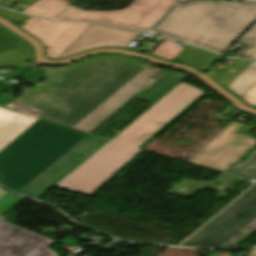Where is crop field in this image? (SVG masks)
<instances>
[{"instance_id": "obj_1", "label": "crop field", "mask_w": 256, "mask_h": 256, "mask_svg": "<svg viewBox=\"0 0 256 256\" xmlns=\"http://www.w3.org/2000/svg\"><path fill=\"white\" fill-rule=\"evenodd\" d=\"M145 68L106 59L63 71L58 85L23 94L17 101L45 111L40 118L75 128Z\"/></svg>"}, {"instance_id": "obj_2", "label": "crop field", "mask_w": 256, "mask_h": 256, "mask_svg": "<svg viewBox=\"0 0 256 256\" xmlns=\"http://www.w3.org/2000/svg\"><path fill=\"white\" fill-rule=\"evenodd\" d=\"M206 94L185 83L180 84L57 186L90 195Z\"/></svg>"}, {"instance_id": "obj_3", "label": "crop field", "mask_w": 256, "mask_h": 256, "mask_svg": "<svg viewBox=\"0 0 256 256\" xmlns=\"http://www.w3.org/2000/svg\"><path fill=\"white\" fill-rule=\"evenodd\" d=\"M255 19V3L203 0L177 6L154 31L222 53Z\"/></svg>"}, {"instance_id": "obj_4", "label": "crop field", "mask_w": 256, "mask_h": 256, "mask_svg": "<svg viewBox=\"0 0 256 256\" xmlns=\"http://www.w3.org/2000/svg\"><path fill=\"white\" fill-rule=\"evenodd\" d=\"M86 135L39 119L0 151V183L18 192Z\"/></svg>"}, {"instance_id": "obj_5", "label": "crop field", "mask_w": 256, "mask_h": 256, "mask_svg": "<svg viewBox=\"0 0 256 256\" xmlns=\"http://www.w3.org/2000/svg\"><path fill=\"white\" fill-rule=\"evenodd\" d=\"M225 210V209H224ZM219 215V214H218ZM256 218V185L194 235L187 246L218 247L238 234Z\"/></svg>"}, {"instance_id": "obj_6", "label": "crop field", "mask_w": 256, "mask_h": 256, "mask_svg": "<svg viewBox=\"0 0 256 256\" xmlns=\"http://www.w3.org/2000/svg\"><path fill=\"white\" fill-rule=\"evenodd\" d=\"M176 0H134L128 8L118 11L95 12L70 8L58 19L99 21L128 28L151 29Z\"/></svg>"}, {"instance_id": "obj_7", "label": "crop field", "mask_w": 256, "mask_h": 256, "mask_svg": "<svg viewBox=\"0 0 256 256\" xmlns=\"http://www.w3.org/2000/svg\"><path fill=\"white\" fill-rule=\"evenodd\" d=\"M243 125L244 123L234 121L187 161L220 171L229 167L256 144V139L252 136L234 134Z\"/></svg>"}, {"instance_id": "obj_8", "label": "crop field", "mask_w": 256, "mask_h": 256, "mask_svg": "<svg viewBox=\"0 0 256 256\" xmlns=\"http://www.w3.org/2000/svg\"><path fill=\"white\" fill-rule=\"evenodd\" d=\"M21 28L31 32L47 48V58L55 60L91 24L51 21L33 17Z\"/></svg>"}, {"instance_id": "obj_9", "label": "crop field", "mask_w": 256, "mask_h": 256, "mask_svg": "<svg viewBox=\"0 0 256 256\" xmlns=\"http://www.w3.org/2000/svg\"><path fill=\"white\" fill-rule=\"evenodd\" d=\"M56 242L0 219V256H59L50 249Z\"/></svg>"}, {"instance_id": "obj_10", "label": "crop field", "mask_w": 256, "mask_h": 256, "mask_svg": "<svg viewBox=\"0 0 256 256\" xmlns=\"http://www.w3.org/2000/svg\"><path fill=\"white\" fill-rule=\"evenodd\" d=\"M142 32L127 31L102 24H92L65 52L57 59L75 53L103 46L124 47L135 40Z\"/></svg>"}, {"instance_id": "obj_11", "label": "crop field", "mask_w": 256, "mask_h": 256, "mask_svg": "<svg viewBox=\"0 0 256 256\" xmlns=\"http://www.w3.org/2000/svg\"><path fill=\"white\" fill-rule=\"evenodd\" d=\"M151 67L142 72L138 77H136L132 82H130L126 87L76 127V129L90 133L114 112L121 108L148 83H150L153 80V77L162 71Z\"/></svg>"}, {"instance_id": "obj_12", "label": "crop field", "mask_w": 256, "mask_h": 256, "mask_svg": "<svg viewBox=\"0 0 256 256\" xmlns=\"http://www.w3.org/2000/svg\"><path fill=\"white\" fill-rule=\"evenodd\" d=\"M82 162L67 152L19 193L37 198Z\"/></svg>"}, {"instance_id": "obj_13", "label": "crop field", "mask_w": 256, "mask_h": 256, "mask_svg": "<svg viewBox=\"0 0 256 256\" xmlns=\"http://www.w3.org/2000/svg\"><path fill=\"white\" fill-rule=\"evenodd\" d=\"M36 120H38V118L0 108V150Z\"/></svg>"}, {"instance_id": "obj_14", "label": "crop field", "mask_w": 256, "mask_h": 256, "mask_svg": "<svg viewBox=\"0 0 256 256\" xmlns=\"http://www.w3.org/2000/svg\"><path fill=\"white\" fill-rule=\"evenodd\" d=\"M106 58H117V59H121V60H124V61H128V62L137 64V65H140V66L145 67V68H147V67L150 66L149 64H147V63H145V62H140V61H137V60H135V59H132V58H129V57H126V56H123V55H104V56H99V57H93V58H89V59H86V60H83V61L74 63V64H72V65L63 67V68L44 67L43 69H44V72H45V75H46V79H47L48 84H44V85H40V86L31 87V88L28 89L27 91H29V92H39V91H42V90H45V89L54 87V86L57 85V82L55 81L54 78H55L58 74H60L63 70L75 68V67H78V66H81V65H84V64L93 62V61L102 60V59H106Z\"/></svg>"}, {"instance_id": "obj_15", "label": "crop field", "mask_w": 256, "mask_h": 256, "mask_svg": "<svg viewBox=\"0 0 256 256\" xmlns=\"http://www.w3.org/2000/svg\"><path fill=\"white\" fill-rule=\"evenodd\" d=\"M184 78L185 77L165 73L148 88L137 95V97L153 104Z\"/></svg>"}, {"instance_id": "obj_16", "label": "crop field", "mask_w": 256, "mask_h": 256, "mask_svg": "<svg viewBox=\"0 0 256 256\" xmlns=\"http://www.w3.org/2000/svg\"><path fill=\"white\" fill-rule=\"evenodd\" d=\"M218 57L219 55L214 53L188 46L177 56L175 60L191 64L203 71L209 68Z\"/></svg>"}, {"instance_id": "obj_17", "label": "crop field", "mask_w": 256, "mask_h": 256, "mask_svg": "<svg viewBox=\"0 0 256 256\" xmlns=\"http://www.w3.org/2000/svg\"><path fill=\"white\" fill-rule=\"evenodd\" d=\"M69 7L67 0H40L23 12L48 18H55Z\"/></svg>"}, {"instance_id": "obj_18", "label": "crop field", "mask_w": 256, "mask_h": 256, "mask_svg": "<svg viewBox=\"0 0 256 256\" xmlns=\"http://www.w3.org/2000/svg\"><path fill=\"white\" fill-rule=\"evenodd\" d=\"M256 83V61L246 68L227 87L240 97Z\"/></svg>"}, {"instance_id": "obj_19", "label": "crop field", "mask_w": 256, "mask_h": 256, "mask_svg": "<svg viewBox=\"0 0 256 256\" xmlns=\"http://www.w3.org/2000/svg\"><path fill=\"white\" fill-rule=\"evenodd\" d=\"M107 141L108 139H104V138L89 134L69 152H71L77 158L84 161L91 154L96 152Z\"/></svg>"}, {"instance_id": "obj_20", "label": "crop field", "mask_w": 256, "mask_h": 256, "mask_svg": "<svg viewBox=\"0 0 256 256\" xmlns=\"http://www.w3.org/2000/svg\"><path fill=\"white\" fill-rule=\"evenodd\" d=\"M183 49L184 47L177 46L174 42L165 39L150 55L173 61Z\"/></svg>"}, {"instance_id": "obj_21", "label": "crop field", "mask_w": 256, "mask_h": 256, "mask_svg": "<svg viewBox=\"0 0 256 256\" xmlns=\"http://www.w3.org/2000/svg\"><path fill=\"white\" fill-rule=\"evenodd\" d=\"M227 172L246 178L248 180L256 178V150H254L249 160L232 169H229Z\"/></svg>"}, {"instance_id": "obj_22", "label": "crop field", "mask_w": 256, "mask_h": 256, "mask_svg": "<svg viewBox=\"0 0 256 256\" xmlns=\"http://www.w3.org/2000/svg\"><path fill=\"white\" fill-rule=\"evenodd\" d=\"M247 45L244 51L238 56L250 58L256 52V23L239 39Z\"/></svg>"}, {"instance_id": "obj_23", "label": "crop field", "mask_w": 256, "mask_h": 256, "mask_svg": "<svg viewBox=\"0 0 256 256\" xmlns=\"http://www.w3.org/2000/svg\"><path fill=\"white\" fill-rule=\"evenodd\" d=\"M23 62V50L19 46L0 54V66L19 65Z\"/></svg>"}, {"instance_id": "obj_24", "label": "crop field", "mask_w": 256, "mask_h": 256, "mask_svg": "<svg viewBox=\"0 0 256 256\" xmlns=\"http://www.w3.org/2000/svg\"><path fill=\"white\" fill-rule=\"evenodd\" d=\"M22 197L8 193L2 199H0V216L17 203Z\"/></svg>"}, {"instance_id": "obj_25", "label": "crop field", "mask_w": 256, "mask_h": 256, "mask_svg": "<svg viewBox=\"0 0 256 256\" xmlns=\"http://www.w3.org/2000/svg\"><path fill=\"white\" fill-rule=\"evenodd\" d=\"M245 103L256 107V84L241 97Z\"/></svg>"}, {"instance_id": "obj_26", "label": "crop field", "mask_w": 256, "mask_h": 256, "mask_svg": "<svg viewBox=\"0 0 256 256\" xmlns=\"http://www.w3.org/2000/svg\"><path fill=\"white\" fill-rule=\"evenodd\" d=\"M0 33L5 35L7 38L11 39L18 45L25 42L22 38H20L18 35H16L14 32L9 30L8 28L4 27L3 25L0 24Z\"/></svg>"}, {"instance_id": "obj_27", "label": "crop field", "mask_w": 256, "mask_h": 256, "mask_svg": "<svg viewBox=\"0 0 256 256\" xmlns=\"http://www.w3.org/2000/svg\"><path fill=\"white\" fill-rule=\"evenodd\" d=\"M10 40L4 37L2 34H0V53L17 46V43L15 44L13 43L14 41L12 42Z\"/></svg>"}, {"instance_id": "obj_28", "label": "crop field", "mask_w": 256, "mask_h": 256, "mask_svg": "<svg viewBox=\"0 0 256 256\" xmlns=\"http://www.w3.org/2000/svg\"><path fill=\"white\" fill-rule=\"evenodd\" d=\"M23 50H24V55H25V62L34 59L33 51L30 47V45L26 42L22 45H20Z\"/></svg>"}, {"instance_id": "obj_29", "label": "crop field", "mask_w": 256, "mask_h": 256, "mask_svg": "<svg viewBox=\"0 0 256 256\" xmlns=\"http://www.w3.org/2000/svg\"><path fill=\"white\" fill-rule=\"evenodd\" d=\"M21 75L22 74H21L20 70L18 69V70H15V71H12V72H9L6 74H2L1 76L5 78V79H3V81H6V80H9V79L21 76Z\"/></svg>"}, {"instance_id": "obj_30", "label": "crop field", "mask_w": 256, "mask_h": 256, "mask_svg": "<svg viewBox=\"0 0 256 256\" xmlns=\"http://www.w3.org/2000/svg\"><path fill=\"white\" fill-rule=\"evenodd\" d=\"M17 1H19V0H11V1L8 2L6 5H4V7L9 8V7H11L13 4H15ZM21 1L26 2V3L33 4V3H35V2L38 1V0H21Z\"/></svg>"}, {"instance_id": "obj_31", "label": "crop field", "mask_w": 256, "mask_h": 256, "mask_svg": "<svg viewBox=\"0 0 256 256\" xmlns=\"http://www.w3.org/2000/svg\"><path fill=\"white\" fill-rule=\"evenodd\" d=\"M248 256H256V248L251 249Z\"/></svg>"}, {"instance_id": "obj_32", "label": "crop field", "mask_w": 256, "mask_h": 256, "mask_svg": "<svg viewBox=\"0 0 256 256\" xmlns=\"http://www.w3.org/2000/svg\"><path fill=\"white\" fill-rule=\"evenodd\" d=\"M6 89H8V87L0 85V94H2Z\"/></svg>"}, {"instance_id": "obj_33", "label": "crop field", "mask_w": 256, "mask_h": 256, "mask_svg": "<svg viewBox=\"0 0 256 256\" xmlns=\"http://www.w3.org/2000/svg\"><path fill=\"white\" fill-rule=\"evenodd\" d=\"M8 192L3 191L0 189V198H2L5 194H7ZM6 196V195H5Z\"/></svg>"}, {"instance_id": "obj_34", "label": "crop field", "mask_w": 256, "mask_h": 256, "mask_svg": "<svg viewBox=\"0 0 256 256\" xmlns=\"http://www.w3.org/2000/svg\"><path fill=\"white\" fill-rule=\"evenodd\" d=\"M191 0H180L179 3H185V2H189Z\"/></svg>"}, {"instance_id": "obj_35", "label": "crop field", "mask_w": 256, "mask_h": 256, "mask_svg": "<svg viewBox=\"0 0 256 256\" xmlns=\"http://www.w3.org/2000/svg\"><path fill=\"white\" fill-rule=\"evenodd\" d=\"M243 1H247V2H255V3H256V0H243Z\"/></svg>"}, {"instance_id": "obj_36", "label": "crop field", "mask_w": 256, "mask_h": 256, "mask_svg": "<svg viewBox=\"0 0 256 256\" xmlns=\"http://www.w3.org/2000/svg\"><path fill=\"white\" fill-rule=\"evenodd\" d=\"M251 58H256V53Z\"/></svg>"}, {"instance_id": "obj_37", "label": "crop field", "mask_w": 256, "mask_h": 256, "mask_svg": "<svg viewBox=\"0 0 256 256\" xmlns=\"http://www.w3.org/2000/svg\"><path fill=\"white\" fill-rule=\"evenodd\" d=\"M1 81V80H0ZM2 82V81H1Z\"/></svg>"}]
</instances>
